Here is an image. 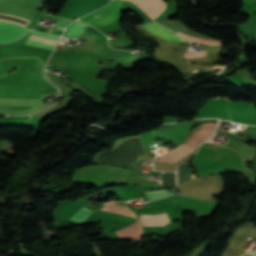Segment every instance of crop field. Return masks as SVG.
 Wrapping results in <instances>:
<instances>
[{
  "label": "crop field",
  "mask_w": 256,
  "mask_h": 256,
  "mask_svg": "<svg viewBox=\"0 0 256 256\" xmlns=\"http://www.w3.org/2000/svg\"><path fill=\"white\" fill-rule=\"evenodd\" d=\"M211 124H203L196 127L178 147L174 148L169 153L159 157L156 160L177 163L180 159L191 154L198 148L202 141L212 136L217 125Z\"/></svg>",
  "instance_id": "obj_1"
},
{
  "label": "crop field",
  "mask_w": 256,
  "mask_h": 256,
  "mask_svg": "<svg viewBox=\"0 0 256 256\" xmlns=\"http://www.w3.org/2000/svg\"><path fill=\"white\" fill-rule=\"evenodd\" d=\"M121 2L122 1L112 0L105 7L86 15L79 20L93 26L104 25L118 18Z\"/></svg>",
  "instance_id": "obj_2"
},
{
  "label": "crop field",
  "mask_w": 256,
  "mask_h": 256,
  "mask_svg": "<svg viewBox=\"0 0 256 256\" xmlns=\"http://www.w3.org/2000/svg\"><path fill=\"white\" fill-rule=\"evenodd\" d=\"M28 31L30 30L26 28H22L6 22H0V42L6 43L13 41Z\"/></svg>",
  "instance_id": "obj_3"
},
{
  "label": "crop field",
  "mask_w": 256,
  "mask_h": 256,
  "mask_svg": "<svg viewBox=\"0 0 256 256\" xmlns=\"http://www.w3.org/2000/svg\"><path fill=\"white\" fill-rule=\"evenodd\" d=\"M142 28L148 30L149 32L161 37L162 39L170 42H186L181 37L171 34L173 32L165 29L164 27L154 23V22H147L139 24Z\"/></svg>",
  "instance_id": "obj_4"
},
{
  "label": "crop field",
  "mask_w": 256,
  "mask_h": 256,
  "mask_svg": "<svg viewBox=\"0 0 256 256\" xmlns=\"http://www.w3.org/2000/svg\"><path fill=\"white\" fill-rule=\"evenodd\" d=\"M135 2L137 5L139 4L135 0H131ZM139 6L151 17L155 18L158 14H160L165 8V3L163 0H142Z\"/></svg>",
  "instance_id": "obj_5"
},
{
  "label": "crop field",
  "mask_w": 256,
  "mask_h": 256,
  "mask_svg": "<svg viewBox=\"0 0 256 256\" xmlns=\"http://www.w3.org/2000/svg\"><path fill=\"white\" fill-rule=\"evenodd\" d=\"M32 34L42 36V37L52 38V39H56V40L59 39V37L48 35V34L38 33L36 31H33ZM30 37L56 43V41H52V40H48V39H44V38H40V37H36V36H32V35ZM32 38H29V40L27 39L28 40L26 42L27 45H33V46H39V47H45V48H51V49H53L55 46L54 43L36 40V39H32Z\"/></svg>",
  "instance_id": "obj_6"
},
{
  "label": "crop field",
  "mask_w": 256,
  "mask_h": 256,
  "mask_svg": "<svg viewBox=\"0 0 256 256\" xmlns=\"http://www.w3.org/2000/svg\"><path fill=\"white\" fill-rule=\"evenodd\" d=\"M92 214L93 215H100V216H110V217H114V218H117V219L129 221V222H133L136 219L135 217H131V216L123 215V214H118V213L102 211V210L94 211Z\"/></svg>",
  "instance_id": "obj_7"
},
{
  "label": "crop field",
  "mask_w": 256,
  "mask_h": 256,
  "mask_svg": "<svg viewBox=\"0 0 256 256\" xmlns=\"http://www.w3.org/2000/svg\"><path fill=\"white\" fill-rule=\"evenodd\" d=\"M86 27L87 25L74 22L70 30L67 32V35L79 38Z\"/></svg>",
  "instance_id": "obj_8"
},
{
  "label": "crop field",
  "mask_w": 256,
  "mask_h": 256,
  "mask_svg": "<svg viewBox=\"0 0 256 256\" xmlns=\"http://www.w3.org/2000/svg\"><path fill=\"white\" fill-rule=\"evenodd\" d=\"M92 210L87 209L85 207L81 208L79 211H77L70 220L76 221L81 223L90 213Z\"/></svg>",
  "instance_id": "obj_9"
},
{
  "label": "crop field",
  "mask_w": 256,
  "mask_h": 256,
  "mask_svg": "<svg viewBox=\"0 0 256 256\" xmlns=\"http://www.w3.org/2000/svg\"><path fill=\"white\" fill-rule=\"evenodd\" d=\"M176 33L182 35L187 40L192 41V42L205 43V44H219L220 43V42H217V41H214V40H210V39L196 38V37L184 35V34L179 33V32H176Z\"/></svg>",
  "instance_id": "obj_10"
},
{
  "label": "crop field",
  "mask_w": 256,
  "mask_h": 256,
  "mask_svg": "<svg viewBox=\"0 0 256 256\" xmlns=\"http://www.w3.org/2000/svg\"><path fill=\"white\" fill-rule=\"evenodd\" d=\"M145 193L147 194L149 200H156L161 197L167 196L170 192H168L166 190H158V191H149V192H145Z\"/></svg>",
  "instance_id": "obj_11"
},
{
  "label": "crop field",
  "mask_w": 256,
  "mask_h": 256,
  "mask_svg": "<svg viewBox=\"0 0 256 256\" xmlns=\"http://www.w3.org/2000/svg\"><path fill=\"white\" fill-rule=\"evenodd\" d=\"M199 56H205V50L199 51V52L191 51V52L185 53V57H199Z\"/></svg>",
  "instance_id": "obj_12"
},
{
  "label": "crop field",
  "mask_w": 256,
  "mask_h": 256,
  "mask_svg": "<svg viewBox=\"0 0 256 256\" xmlns=\"http://www.w3.org/2000/svg\"><path fill=\"white\" fill-rule=\"evenodd\" d=\"M192 174V173H191ZM192 177L194 178V176L192 175Z\"/></svg>",
  "instance_id": "obj_13"
},
{
  "label": "crop field",
  "mask_w": 256,
  "mask_h": 256,
  "mask_svg": "<svg viewBox=\"0 0 256 256\" xmlns=\"http://www.w3.org/2000/svg\"><path fill=\"white\" fill-rule=\"evenodd\" d=\"M253 1H255V2H256V0H253Z\"/></svg>",
  "instance_id": "obj_14"
}]
</instances>
